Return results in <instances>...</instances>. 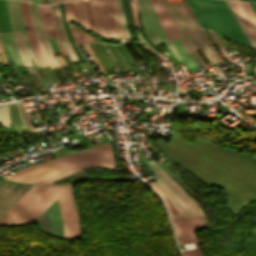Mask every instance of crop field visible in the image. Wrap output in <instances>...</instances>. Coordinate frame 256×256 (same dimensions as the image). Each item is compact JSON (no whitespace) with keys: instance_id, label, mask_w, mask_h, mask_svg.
<instances>
[{"instance_id":"obj_1","label":"crop field","mask_w":256,"mask_h":256,"mask_svg":"<svg viewBox=\"0 0 256 256\" xmlns=\"http://www.w3.org/2000/svg\"><path fill=\"white\" fill-rule=\"evenodd\" d=\"M72 184L61 186L34 185L1 218L0 223L33 222L57 198L66 237L80 233L78 214L73 201Z\"/></svg>"},{"instance_id":"obj_2","label":"crop field","mask_w":256,"mask_h":256,"mask_svg":"<svg viewBox=\"0 0 256 256\" xmlns=\"http://www.w3.org/2000/svg\"><path fill=\"white\" fill-rule=\"evenodd\" d=\"M93 167L114 168L113 153L109 143L42 162L17 171L4 179L32 184H53L52 181L63 176Z\"/></svg>"},{"instance_id":"obj_3","label":"crop field","mask_w":256,"mask_h":256,"mask_svg":"<svg viewBox=\"0 0 256 256\" xmlns=\"http://www.w3.org/2000/svg\"><path fill=\"white\" fill-rule=\"evenodd\" d=\"M199 23L220 35L250 46L224 0H186Z\"/></svg>"},{"instance_id":"obj_4","label":"crop field","mask_w":256,"mask_h":256,"mask_svg":"<svg viewBox=\"0 0 256 256\" xmlns=\"http://www.w3.org/2000/svg\"><path fill=\"white\" fill-rule=\"evenodd\" d=\"M96 32L105 38L124 37L115 0H89Z\"/></svg>"},{"instance_id":"obj_5","label":"crop field","mask_w":256,"mask_h":256,"mask_svg":"<svg viewBox=\"0 0 256 256\" xmlns=\"http://www.w3.org/2000/svg\"><path fill=\"white\" fill-rule=\"evenodd\" d=\"M180 244L194 242L196 249L183 251L184 255L201 252L194 234V229L209 228L205 216L172 218Z\"/></svg>"},{"instance_id":"obj_6","label":"crop field","mask_w":256,"mask_h":256,"mask_svg":"<svg viewBox=\"0 0 256 256\" xmlns=\"http://www.w3.org/2000/svg\"><path fill=\"white\" fill-rule=\"evenodd\" d=\"M142 160L146 165L154 172L156 177L159 179L153 181L157 187L168 197L179 216L194 215L191 208L184 201V199L166 182V180L155 170V168L144 158L141 151L137 150Z\"/></svg>"},{"instance_id":"obj_7","label":"crop field","mask_w":256,"mask_h":256,"mask_svg":"<svg viewBox=\"0 0 256 256\" xmlns=\"http://www.w3.org/2000/svg\"><path fill=\"white\" fill-rule=\"evenodd\" d=\"M150 2L159 20V23L162 27V30L165 34L167 41L169 42L180 38L188 53H192L184 38L182 37L181 33L179 32L178 28L176 27L174 21L172 20L171 16L169 15L168 11L166 10L165 6L163 5L162 1L150 0Z\"/></svg>"},{"instance_id":"obj_8","label":"crop field","mask_w":256,"mask_h":256,"mask_svg":"<svg viewBox=\"0 0 256 256\" xmlns=\"http://www.w3.org/2000/svg\"><path fill=\"white\" fill-rule=\"evenodd\" d=\"M33 185L0 181V217Z\"/></svg>"},{"instance_id":"obj_9","label":"crop field","mask_w":256,"mask_h":256,"mask_svg":"<svg viewBox=\"0 0 256 256\" xmlns=\"http://www.w3.org/2000/svg\"><path fill=\"white\" fill-rule=\"evenodd\" d=\"M146 3L153 17V20L155 22V25L157 27V30L159 32L162 42L164 46L167 48V50L169 51V53L172 55V57L175 59V61L176 62L184 61L188 69H193V70L198 69L195 63L193 62V60L191 59V57L187 54L180 39L167 43L149 0H146Z\"/></svg>"},{"instance_id":"obj_10","label":"crop field","mask_w":256,"mask_h":256,"mask_svg":"<svg viewBox=\"0 0 256 256\" xmlns=\"http://www.w3.org/2000/svg\"><path fill=\"white\" fill-rule=\"evenodd\" d=\"M173 10V9H172ZM177 19L179 20L180 24L182 25L184 31L186 32L187 36L194 44L196 49L201 48L212 66L219 65L218 61L212 55V53L207 48L202 36L198 32L197 28L195 27L192 20L188 19L187 17L183 16L182 14L178 13L177 11L173 10Z\"/></svg>"},{"instance_id":"obj_11","label":"crop field","mask_w":256,"mask_h":256,"mask_svg":"<svg viewBox=\"0 0 256 256\" xmlns=\"http://www.w3.org/2000/svg\"><path fill=\"white\" fill-rule=\"evenodd\" d=\"M136 1H137V6L139 9L140 15H141V19L143 22V26L146 32V36L149 42L154 45L161 44L162 42L160 40V37L158 35L154 22L151 18V15L149 13L145 0H136Z\"/></svg>"},{"instance_id":"obj_12","label":"crop field","mask_w":256,"mask_h":256,"mask_svg":"<svg viewBox=\"0 0 256 256\" xmlns=\"http://www.w3.org/2000/svg\"><path fill=\"white\" fill-rule=\"evenodd\" d=\"M41 26L45 35L58 38L50 5H37ZM59 39V38H58Z\"/></svg>"},{"instance_id":"obj_13","label":"crop field","mask_w":256,"mask_h":256,"mask_svg":"<svg viewBox=\"0 0 256 256\" xmlns=\"http://www.w3.org/2000/svg\"><path fill=\"white\" fill-rule=\"evenodd\" d=\"M153 166L160 172V174L167 180V182L187 201L189 206L194 211L195 215H204L199 206L184 192V190L153 160H150Z\"/></svg>"},{"instance_id":"obj_14","label":"crop field","mask_w":256,"mask_h":256,"mask_svg":"<svg viewBox=\"0 0 256 256\" xmlns=\"http://www.w3.org/2000/svg\"><path fill=\"white\" fill-rule=\"evenodd\" d=\"M0 35H1V41H2V48H3V51H4L8 61L10 62V59L8 56V52H9L15 65H17L19 67H24L22 64V61L18 55L17 48L14 43L12 34L11 33H1ZM7 50H8V52H7Z\"/></svg>"},{"instance_id":"obj_15","label":"crop field","mask_w":256,"mask_h":256,"mask_svg":"<svg viewBox=\"0 0 256 256\" xmlns=\"http://www.w3.org/2000/svg\"><path fill=\"white\" fill-rule=\"evenodd\" d=\"M34 34L52 70L60 68L61 65L57 60L56 56L54 55L47 38L36 33Z\"/></svg>"},{"instance_id":"obj_16","label":"crop field","mask_w":256,"mask_h":256,"mask_svg":"<svg viewBox=\"0 0 256 256\" xmlns=\"http://www.w3.org/2000/svg\"><path fill=\"white\" fill-rule=\"evenodd\" d=\"M51 7H52L53 17H54V21L56 24L59 38L63 41L69 42L66 31L63 26L62 19H61V12H60V8H59V4L58 3L52 4Z\"/></svg>"},{"instance_id":"obj_17","label":"crop field","mask_w":256,"mask_h":256,"mask_svg":"<svg viewBox=\"0 0 256 256\" xmlns=\"http://www.w3.org/2000/svg\"><path fill=\"white\" fill-rule=\"evenodd\" d=\"M14 38H15V42L19 51V55L23 61V64L25 67H33L29 54L27 52L26 46L24 44L23 38L21 36V33H13Z\"/></svg>"},{"instance_id":"obj_18","label":"crop field","mask_w":256,"mask_h":256,"mask_svg":"<svg viewBox=\"0 0 256 256\" xmlns=\"http://www.w3.org/2000/svg\"><path fill=\"white\" fill-rule=\"evenodd\" d=\"M27 38L29 40V43L31 45V48H32V51L34 53V56L37 60V62L39 63L40 66H45V65H49L34 37V34L33 33H27Z\"/></svg>"},{"instance_id":"obj_19","label":"crop field","mask_w":256,"mask_h":256,"mask_svg":"<svg viewBox=\"0 0 256 256\" xmlns=\"http://www.w3.org/2000/svg\"><path fill=\"white\" fill-rule=\"evenodd\" d=\"M233 7L235 8L236 12L238 13L240 19L242 20L243 24L245 25L247 31L249 32L251 38L253 39L254 43L256 44V34L251 27L249 21L247 20L246 16L244 15L242 9L240 8L238 2L231 1Z\"/></svg>"},{"instance_id":"obj_20","label":"crop field","mask_w":256,"mask_h":256,"mask_svg":"<svg viewBox=\"0 0 256 256\" xmlns=\"http://www.w3.org/2000/svg\"><path fill=\"white\" fill-rule=\"evenodd\" d=\"M75 2H76V7H77L78 16H79L81 26L90 30L89 25H88L87 16H86L84 1L83 0H75Z\"/></svg>"},{"instance_id":"obj_21","label":"crop field","mask_w":256,"mask_h":256,"mask_svg":"<svg viewBox=\"0 0 256 256\" xmlns=\"http://www.w3.org/2000/svg\"><path fill=\"white\" fill-rule=\"evenodd\" d=\"M239 4L256 32V15L254 14L253 10L251 9L249 3L239 2Z\"/></svg>"},{"instance_id":"obj_22","label":"crop field","mask_w":256,"mask_h":256,"mask_svg":"<svg viewBox=\"0 0 256 256\" xmlns=\"http://www.w3.org/2000/svg\"><path fill=\"white\" fill-rule=\"evenodd\" d=\"M19 4H20V10H21V16H22L24 28L25 26H27L29 31H33L27 4L24 2H19Z\"/></svg>"},{"instance_id":"obj_23","label":"crop field","mask_w":256,"mask_h":256,"mask_svg":"<svg viewBox=\"0 0 256 256\" xmlns=\"http://www.w3.org/2000/svg\"><path fill=\"white\" fill-rule=\"evenodd\" d=\"M149 185L156 191V193L165 201L169 213L171 216H178L177 212L175 211V209L173 208L172 204L170 203V201L167 199V197L156 187V185L151 182L149 183Z\"/></svg>"},{"instance_id":"obj_24","label":"crop field","mask_w":256,"mask_h":256,"mask_svg":"<svg viewBox=\"0 0 256 256\" xmlns=\"http://www.w3.org/2000/svg\"><path fill=\"white\" fill-rule=\"evenodd\" d=\"M168 2H171V1H168ZM172 3H178V2H172ZM172 3H169L170 6H172L173 8H175L176 10L184 13L185 15L187 16H191V18L195 21H197V19L195 18L194 14L192 13V11L190 10L189 6L187 5L186 2L183 3L184 7L186 8V10L188 11L189 15L187 14L185 8L183 7V5H179V4H182V3H179V4H172ZM198 22V21H197Z\"/></svg>"},{"instance_id":"obj_25","label":"crop field","mask_w":256,"mask_h":256,"mask_svg":"<svg viewBox=\"0 0 256 256\" xmlns=\"http://www.w3.org/2000/svg\"><path fill=\"white\" fill-rule=\"evenodd\" d=\"M226 4L228 5L229 9L231 10L232 14L234 15L235 19L237 20L238 24L242 28L243 32L245 33L246 37L248 38L249 42L251 43L252 47L256 48L255 44L253 43L252 39L250 38L248 32L246 31L245 27L243 26L241 20L239 19L237 13L235 12L234 8L232 7L230 1H226Z\"/></svg>"},{"instance_id":"obj_26","label":"crop field","mask_w":256,"mask_h":256,"mask_svg":"<svg viewBox=\"0 0 256 256\" xmlns=\"http://www.w3.org/2000/svg\"><path fill=\"white\" fill-rule=\"evenodd\" d=\"M163 3L165 4L167 10L169 11L170 15L172 16L173 20L175 21L176 25L178 26L180 32L182 33L183 37L185 38L186 42L188 43V45L190 46L191 50L194 51V47L191 44V42L189 41L188 37L186 36L185 32L183 31L182 27L180 26L179 22L177 21L175 15L173 14L172 10L170 9L169 5L167 4L166 0H162Z\"/></svg>"},{"instance_id":"obj_27","label":"crop field","mask_w":256,"mask_h":256,"mask_svg":"<svg viewBox=\"0 0 256 256\" xmlns=\"http://www.w3.org/2000/svg\"><path fill=\"white\" fill-rule=\"evenodd\" d=\"M0 124L11 128L7 106L0 107Z\"/></svg>"},{"instance_id":"obj_28","label":"crop field","mask_w":256,"mask_h":256,"mask_svg":"<svg viewBox=\"0 0 256 256\" xmlns=\"http://www.w3.org/2000/svg\"><path fill=\"white\" fill-rule=\"evenodd\" d=\"M66 2H67V5H68V8H69L71 21L79 25V21H78V16H77V11H76L74 0L66 1Z\"/></svg>"},{"instance_id":"obj_29","label":"crop field","mask_w":256,"mask_h":256,"mask_svg":"<svg viewBox=\"0 0 256 256\" xmlns=\"http://www.w3.org/2000/svg\"><path fill=\"white\" fill-rule=\"evenodd\" d=\"M195 23V22H194ZM195 25L197 26L199 32L201 33V35L203 36L208 48L211 50V52L214 54V56L217 58V60L222 63V60L220 59V57L218 56V54L216 53V51L214 50V48L212 47L211 43L209 42L207 36L205 35V33L202 31L201 27L199 24L195 23Z\"/></svg>"},{"instance_id":"obj_30","label":"crop field","mask_w":256,"mask_h":256,"mask_svg":"<svg viewBox=\"0 0 256 256\" xmlns=\"http://www.w3.org/2000/svg\"><path fill=\"white\" fill-rule=\"evenodd\" d=\"M2 1H3L4 9H5L4 0H2ZM2 1H1V5H2ZM3 5H2V9H3ZM4 9H3V14H4V19H5V24H6V18H5L6 9H5V13H4ZM3 14H2L1 6H0V26H1V30H2V32H7L8 28H9V31L11 32L9 22H8V18H7L8 28H7V24H6V28H7V31H6L5 24H4V19H3ZM6 17H7V14H6Z\"/></svg>"},{"instance_id":"obj_31","label":"crop field","mask_w":256,"mask_h":256,"mask_svg":"<svg viewBox=\"0 0 256 256\" xmlns=\"http://www.w3.org/2000/svg\"><path fill=\"white\" fill-rule=\"evenodd\" d=\"M61 43H62V45H63V47H64V49H65V51H66V53H67V55L69 57V59L71 61H73V62L78 61V58H77V56H76V54H75L71 44H66V43H64L62 41H61Z\"/></svg>"},{"instance_id":"obj_32","label":"crop field","mask_w":256,"mask_h":256,"mask_svg":"<svg viewBox=\"0 0 256 256\" xmlns=\"http://www.w3.org/2000/svg\"><path fill=\"white\" fill-rule=\"evenodd\" d=\"M117 5H118L119 13H120V18H121V22H122L124 34H125V36L128 37L127 29H126V24H125L123 12H122L121 5H120V1H119V0H117Z\"/></svg>"},{"instance_id":"obj_33","label":"crop field","mask_w":256,"mask_h":256,"mask_svg":"<svg viewBox=\"0 0 256 256\" xmlns=\"http://www.w3.org/2000/svg\"><path fill=\"white\" fill-rule=\"evenodd\" d=\"M21 33H22V35H23V38H24V40H25V43H26V46H27V48H28L29 54H30V56H31V60H32L33 64L35 65V67H38V64H37V62H36V60H35V58H34V56H33V53H32V51H31V48H30V45H29L28 40H27V38H26V35H25L24 32H21Z\"/></svg>"},{"instance_id":"obj_34","label":"crop field","mask_w":256,"mask_h":256,"mask_svg":"<svg viewBox=\"0 0 256 256\" xmlns=\"http://www.w3.org/2000/svg\"><path fill=\"white\" fill-rule=\"evenodd\" d=\"M84 1H85L87 16H88V20H89V24H90L91 30H92L93 32H95L94 24H93V21H92V17H91L89 5H88V0H84ZM95 33H96V32H95Z\"/></svg>"},{"instance_id":"obj_35","label":"crop field","mask_w":256,"mask_h":256,"mask_svg":"<svg viewBox=\"0 0 256 256\" xmlns=\"http://www.w3.org/2000/svg\"><path fill=\"white\" fill-rule=\"evenodd\" d=\"M63 3H64L65 14H66L68 26H69V29H70V31H71V33H72V37H73L74 43H78V42H77V39H76V37H75V34H74V32H73V29H72V27L69 25L70 18H69V13H68V8H67V5H66V2L64 1Z\"/></svg>"},{"instance_id":"obj_36","label":"crop field","mask_w":256,"mask_h":256,"mask_svg":"<svg viewBox=\"0 0 256 256\" xmlns=\"http://www.w3.org/2000/svg\"><path fill=\"white\" fill-rule=\"evenodd\" d=\"M209 30V29H208ZM209 32L211 33L212 37L214 38L215 42L217 43L218 47L220 48V50L223 52V54L225 55V57L228 59V61H231L227 52L224 50V48L221 46L220 42L218 41L217 37L215 36L214 32L209 30Z\"/></svg>"},{"instance_id":"obj_37","label":"crop field","mask_w":256,"mask_h":256,"mask_svg":"<svg viewBox=\"0 0 256 256\" xmlns=\"http://www.w3.org/2000/svg\"><path fill=\"white\" fill-rule=\"evenodd\" d=\"M33 10H34V16H35V20H36L38 32L41 33V34H43V33H42L41 26H40V23H39V19H38V13H37L36 4H33Z\"/></svg>"},{"instance_id":"obj_38","label":"crop field","mask_w":256,"mask_h":256,"mask_svg":"<svg viewBox=\"0 0 256 256\" xmlns=\"http://www.w3.org/2000/svg\"><path fill=\"white\" fill-rule=\"evenodd\" d=\"M9 2H10L12 14H13V18H14L15 29H16V31H19V29H18V23H17V17H16V13H15V8H14L13 1H9Z\"/></svg>"},{"instance_id":"obj_39","label":"crop field","mask_w":256,"mask_h":256,"mask_svg":"<svg viewBox=\"0 0 256 256\" xmlns=\"http://www.w3.org/2000/svg\"><path fill=\"white\" fill-rule=\"evenodd\" d=\"M15 4V8H16V12H17V16H18V22H19V28L20 31H24V28L22 26V22H21V17H20V13H19V8H18V1H14Z\"/></svg>"},{"instance_id":"obj_40","label":"crop field","mask_w":256,"mask_h":256,"mask_svg":"<svg viewBox=\"0 0 256 256\" xmlns=\"http://www.w3.org/2000/svg\"><path fill=\"white\" fill-rule=\"evenodd\" d=\"M28 7H29V11H30V16H31V20H32V25H33L34 32L38 33V32H37V28H36V24H35V21H34V17H33V11H32V5H31V3H28Z\"/></svg>"},{"instance_id":"obj_41","label":"crop field","mask_w":256,"mask_h":256,"mask_svg":"<svg viewBox=\"0 0 256 256\" xmlns=\"http://www.w3.org/2000/svg\"><path fill=\"white\" fill-rule=\"evenodd\" d=\"M130 5H131V9H132V13H133L135 25H136V27H138V26H137V19H136L137 11H136L135 2L130 3Z\"/></svg>"},{"instance_id":"obj_42","label":"crop field","mask_w":256,"mask_h":256,"mask_svg":"<svg viewBox=\"0 0 256 256\" xmlns=\"http://www.w3.org/2000/svg\"><path fill=\"white\" fill-rule=\"evenodd\" d=\"M16 104H17V107H18V111H19L22 123H23L24 130L27 131L26 124H25V121H24V118H23V114H22V111H21V108H20V104L19 103H16Z\"/></svg>"},{"instance_id":"obj_43","label":"crop field","mask_w":256,"mask_h":256,"mask_svg":"<svg viewBox=\"0 0 256 256\" xmlns=\"http://www.w3.org/2000/svg\"><path fill=\"white\" fill-rule=\"evenodd\" d=\"M0 56H1L2 60H3V63L7 64L6 60H5V57H4L3 53H2L1 43H0Z\"/></svg>"},{"instance_id":"obj_44","label":"crop field","mask_w":256,"mask_h":256,"mask_svg":"<svg viewBox=\"0 0 256 256\" xmlns=\"http://www.w3.org/2000/svg\"><path fill=\"white\" fill-rule=\"evenodd\" d=\"M20 104H21V103H20ZM21 107H22V105H21ZM22 111H23V114H24V117H25V112H24V110H23V107H22ZM25 121H26V124H27V127H28V131L31 132V131H30V128H29V125H28V123H27L26 117H25Z\"/></svg>"},{"instance_id":"obj_45","label":"crop field","mask_w":256,"mask_h":256,"mask_svg":"<svg viewBox=\"0 0 256 256\" xmlns=\"http://www.w3.org/2000/svg\"><path fill=\"white\" fill-rule=\"evenodd\" d=\"M252 9L254 10L255 14H256V4L250 3Z\"/></svg>"},{"instance_id":"obj_46","label":"crop field","mask_w":256,"mask_h":256,"mask_svg":"<svg viewBox=\"0 0 256 256\" xmlns=\"http://www.w3.org/2000/svg\"><path fill=\"white\" fill-rule=\"evenodd\" d=\"M32 2L43 4L42 0H32Z\"/></svg>"},{"instance_id":"obj_47","label":"crop field","mask_w":256,"mask_h":256,"mask_svg":"<svg viewBox=\"0 0 256 256\" xmlns=\"http://www.w3.org/2000/svg\"><path fill=\"white\" fill-rule=\"evenodd\" d=\"M15 106H16V105H15ZM16 110H17V108H16ZM17 114H18V111H17ZM18 118H19V114H18ZM19 122H20L21 130L24 131V130H23V127H22V124H21V121H20V118H19Z\"/></svg>"},{"instance_id":"obj_48","label":"crop field","mask_w":256,"mask_h":256,"mask_svg":"<svg viewBox=\"0 0 256 256\" xmlns=\"http://www.w3.org/2000/svg\"><path fill=\"white\" fill-rule=\"evenodd\" d=\"M22 103V105H23V102H21ZM24 107V106H23ZM24 110H25V108H24ZM26 112V111H25ZM26 117H27V114H26ZM27 120H28V123H29V125H30V128H31V131H32V127H31V124H30V122H29V119H28V117H27ZM33 132V131H32Z\"/></svg>"},{"instance_id":"obj_49","label":"crop field","mask_w":256,"mask_h":256,"mask_svg":"<svg viewBox=\"0 0 256 256\" xmlns=\"http://www.w3.org/2000/svg\"><path fill=\"white\" fill-rule=\"evenodd\" d=\"M187 256H203L202 253L199 254H193V255H187Z\"/></svg>"},{"instance_id":"obj_50","label":"crop field","mask_w":256,"mask_h":256,"mask_svg":"<svg viewBox=\"0 0 256 256\" xmlns=\"http://www.w3.org/2000/svg\"><path fill=\"white\" fill-rule=\"evenodd\" d=\"M8 2V1H7ZM8 7H9V3H8ZM9 11H10V7H9ZM10 15H11V12H10ZM11 19H12V16H11ZM13 22V21H12ZM14 26V25H13ZM15 30V29H14Z\"/></svg>"},{"instance_id":"obj_51","label":"crop field","mask_w":256,"mask_h":256,"mask_svg":"<svg viewBox=\"0 0 256 256\" xmlns=\"http://www.w3.org/2000/svg\"><path fill=\"white\" fill-rule=\"evenodd\" d=\"M57 0H50V3H52V2H56Z\"/></svg>"},{"instance_id":"obj_52","label":"crop field","mask_w":256,"mask_h":256,"mask_svg":"<svg viewBox=\"0 0 256 256\" xmlns=\"http://www.w3.org/2000/svg\"><path fill=\"white\" fill-rule=\"evenodd\" d=\"M43 3H44V4H47V3H46V0H43Z\"/></svg>"},{"instance_id":"obj_53","label":"crop field","mask_w":256,"mask_h":256,"mask_svg":"<svg viewBox=\"0 0 256 256\" xmlns=\"http://www.w3.org/2000/svg\"><path fill=\"white\" fill-rule=\"evenodd\" d=\"M250 1L256 2V0H250Z\"/></svg>"},{"instance_id":"obj_54","label":"crop field","mask_w":256,"mask_h":256,"mask_svg":"<svg viewBox=\"0 0 256 256\" xmlns=\"http://www.w3.org/2000/svg\"><path fill=\"white\" fill-rule=\"evenodd\" d=\"M27 1L31 2V0H27Z\"/></svg>"},{"instance_id":"obj_55","label":"crop field","mask_w":256,"mask_h":256,"mask_svg":"<svg viewBox=\"0 0 256 256\" xmlns=\"http://www.w3.org/2000/svg\"><path fill=\"white\" fill-rule=\"evenodd\" d=\"M244 1H249V0H244Z\"/></svg>"},{"instance_id":"obj_56","label":"crop field","mask_w":256,"mask_h":256,"mask_svg":"<svg viewBox=\"0 0 256 256\" xmlns=\"http://www.w3.org/2000/svg\"><path fill=\"white\" fill-rule=\"evenodd\" d=\"M48 1V4H49V0H47Z\"/></svg>"},{"instance_id":"obj_57","label":"crop field","mask_w":256,"mask_h":256,"mask_svg":"<svg viewBox=\"0 0 256 256\" xmlns=\"http://www.w3.org/2000/svg\"><path fill=\"white\" fill-rule=\"evenodd\" d=\"M59 1H61V0H59Z\"/></svg>"},{"instance_id":"obj_58","label":"crop field","mask_w":256,"mask_h":256,"mask_svg":"<svg viewBox=\"0 0 256 256\" xmlns=\"http://www.w3.org/2000/svg\"><path fill=\"white\" fill-rule=\"evenodd\" d=\"M255 163H256V161H255Z\"/></svg>"},{"instance_id":"obj_59","label":"crop field","mask_w":256,"mask_h":256,"mask_svg":"<svg viewBox=\"0 0 256 256\" xmlns=\"http://www.w3.org/2000/svg\"><path fill=\"white\" fill-rule=\"evenodd\" d=\"M26 1V0H25Z\"/></svg>"},{"instance_id":"obj_60","label":"crop field","mask_w":256,"mask_h":256,"mask_svg":"<svg viewBox=\"0 0 256 256\" xmlns=\"http://www.w3.org/2000/svg\"><path fill=\"white\" fill-rule=\"evenodd\" d=\"M1 63V62H0Z\"/></svg>"}]
</instances>
